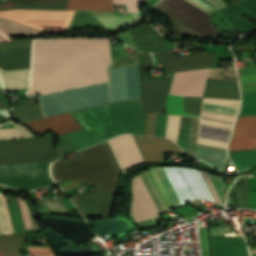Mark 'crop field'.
Returning a JSON list of instances; mask_svg holds the SVG:
<instances>
[{
	"label": "crop field",
	"instance_id": "obj_1",
	"mask_svg": "<svg viewBox=\"0 0 256 256\" xmlns=\"http://www.w3.org/2000/svg\"><path fill=\"white\" fill-rule=\"evenodd\" d=\"M107 39H37L32 89L43 93L107 80Z\"/></svg>",
	"mask_w": 256,
	"mask_h": 256
},
{
	"label": "crop field",
	"instance_id": "obj_2",
	"mask_svg": "<svg viewBox=\"0 0 256 256\" xmlns=\"http://www.w3.org/2000/svg\"><path fill=\"white\" fill-rule=\"evenodd\" d=\"M77 153L79 157L76 159H59L53 163L52 174L54 178L58 183L72 180L85 182L96 187L72 198V201L84 217L111 216L120 170L113 159L107 142H102ZM67 182L71 185L63 187L65 191L81 184L79 182Z\"/></svg>",
	"mask_w": 256,
	"mask_h": 256
},
{
	"label": "crop field",
	"instance_id": "obj_3",
	"mask_svg": "<svg viewBox=\"0 0 256 256\" xmlns=\"http://www.w3.org/2000/svg\"><path fill=\"white\" fill-rule=\"evenodd\" d=\"M83 129L59 135L63 155L120 133L143 135L146 113L135 100L68 113Z\"/></svg>",
	"mask_w": 256,
	"mask_h": 256
},
{
	"label": "crop field",
	"instance_id": "obj_4",
	"mask_svg": "<svg viewBox=\"0 0 256 256\" xmlns=\"http://www.w3.org/2000/svg\"><path fill=\"white\" fill-rule=\"evenodd\" d=\"M111 82L39 96L44 117L141 97L137 65L110 69Z\"/></svg>",
	"mask_w": 256,
	"mask_h": 256
},
{
	"label": "crop field",
	"instance_id": "obj_5",
	"mask_svg": "<svg viewBox=\"0 0 256 256\" xmlns=\"http://www.w3.org/2000/svg\"><path fill=\"white\" fill-rule=\"evenodd\" d=\"M148 169L132 181L131 214L137 223L183 204L165 167Z\"/></svg>",
	"mask_w": 256,
	"mask_h": 256
},
{
	"label": "crop field",
	"instance_id": "obj_6",
	"mask_svg": "<svg viewBox=\"0 0 256 256\" xmlns=\"http://www.w3.org/2000/svg\"><path fill=\"white\" fill-rule=\"evenodd\" d=\"M239 102L203 98L197 143L226 148Z\"/></svg>",
	"mask_w": 256,
	"mask_h": 256
},
{
	"label": "crop field",
	"instance_id": "obj_7",
	"mask_svg": "<svg viewBox=\"0 0 256 256\" xmlns=\"http://www.w3.org/2000/svg\"><path fill=\"white\" fill-rule=\"evenodd\" d=\"M198 122L199 116L168 114L165 138L176 142L187 154L222 171L228 160L226 149L196 144Z\"/></svg>",
	"mask_w": 256,
	"mask_h": 256
},
{
	"label": "crop field",
	"instance_id": "obj_8",
	"mask_svg": "<svg viewBox=\"0 0 256 256\" xmlns=\"http://www.w3.org/2000/svg\"><path fill=\"white\" fill-rule=\"evenodd\" d=\"M166 169L184 204L198 198L224 204L227 189L221 177L187 167L167 166Z\"/></svg>",
	"mask_w": 256,
	"mask_h": 256
},
{
	"label": "crop field",
	"instance_id": "obj_9",
	"mask_svg": "<svg viewBox=\"0 0 256 256\" xmlns=\"http://www.w3.org/2000/svg\"><path fill=\"white\" fill-rule=\"evenodd\" d=\"M152 9L171 19L176 37L219 38L211 16L183 0H160Z\"/></svg>",
	"mask_w": 256,
	"mask_h": 256
},
{
	"label": "crop field",
	"instance_id": "obj_10",
	"mask_svg": "<svg viewBox=\"0 0 256 256\" xmlns=\"http://www.w3.org/2000/svg\"><path fill=\"white\" fill-rule=\"evenodd\" d=\"M54 137L0 142V164L55 161Z\"/></svg>",
	"mask_w": 256,
	"mask_h": 256
},
{
	"label": "crop field",
	"instance_id": "obj_11",
	"mask_svg": "<svg viewBox=\"0 0 256 256\" xmlns=\"http://www.w3.org/2000/svg\"><path fill=\"white\" fill-rule=\"evenodd\" d=\"M51 163L0 165V185L23 191L55 185L50 175Z\"/></svg>",
	"mask_w": 256,
	"mask_h": 256
},
{
	"label": "crop field",
	"instance_id": "obj_12",
	"mask_svg": "<svg viewBox=\"0 0 256 256\" xmlns=\"http://www.w3.org/2000/svg\"><path fill=\"white\" fill-rule=\"evenodd\" d=\"M73 12L58 10H10L0 12V16L45 32H65Z\"/></svg>",
	"mask_w": 256,
	"mask_h": 256
},
{
	"label": "crop field",
	"instance_id": "obj_13",
	"mask_svg": "<svg viewBox=\"0 0 256 256\" xmlns=\"http://www.w3.org/2000/svg\"><path fill=\"white\" fill-rule=\"evenodd\" d=\"M137 61L140 69L141 81L145 80L144 67L151 65V55L147 53H137ZM172 77L149 80L141 82L142 100L146 112L166 111L165 101L168 96Z\"/></svg>",
	"mask_w": 256,
	"mask_h": 256
},
{
	"label": "crop field",
	"instance_id": "obj_14",
	"mask_svg": "<svg viewBox=\"0 0 256 256\" xmlns=\"http://www.w3.org/2000/svg\"><path fill=\"white\" fill-rule=\"evenodd\" d=\"M202 97L239 99L237 81L207 79ZM202 98L185 97L184 112L199 115Z\"/></svg>",
	"mask_w": 256,
	"mask_h": 256
},
{
	"label": "crop field",
	"instance_id": "obj_15",
	"mask_svg": "<svg viewBox=\"0 0 256 256\" xmlns=\"http://www.w3.org/2000/svg\"><path fill=\"white\" fill-rule=\"evenodd\" d=\"M31 41L0 43V67L4 71L29 68Z\"/></svg>",
	"mask_w": 256,
	"mask_h": 256
},
{
	"label": "crop field",
	"instance_id": "obj_16",
	"mask_svg": "<svg viewBox=\"0 0 256 256\" xmlns=\"http://www.w3.org/2000/svg\"><path fill=\"white\" fill-rule=\"evenodd\" d=\"M208 70L175 73L169 94L201 97Z\"/></svg>",
	"mask_w": 256,
	"mask_h": 256
},
{
	"label": "crop field",
	"instance_id": "obj_17",
	"mask_svg": "<svg viewBox=\"0 0 256 256\" xmlns=\"http://www.w3.org/2000/svg\"><path fill=\"white\" fill-rule=\"evenodd\" d=\"M256 149V116L237 117L228 151Z\"/></svg>",
	"mask_w": 256,
	"mask_h": 256
},
{
	"label": "crop field",
	"instance_id": "obj_18",
	"mask_svg": "<svg viewBox=\"0 0 256 256\" xmlns=\"http://www.w3.org/2000/svg\"><path fill=\"white\" fill-rule=\"evenodd\" d=\"M154 55L168 73L209 68L207 53L175 58L172 53L167 50L154 53Z\"/></svg>",
	"mask_w": 256,
	"mask_h": 256
},
{
	"label": "crop field",
	"instance_id": "obj_19",
	"mask_svg": "<svg viewBox=\"0 0 256 256\" xmlns=\"http://www.w3.org/2000/svg\"><path fill=\"white\" fill-rule=\"evenodd\" d=\"M109 144L123 172L136 164L143 163L138 148L131 135H123L109 140Z\"/></svg>",
	"mask_w": 256,
	"mask_h": 256
},
{
	"label": "crop field",
	"instance_id": "obj_20",
	"mask_svg": "<svg viewBox=\"0 0 256 256\" xmlns=\"http://www.w3.org/2000/svg\"><path fill=\"white\" fill-rule=\"evenodd\" d=\"M241 92H256V66L237 68ZM242 106L238 115L256 114V93L241 94Z\"/></svg>",
	"mask_w": 256,
	"mask_h": 256
},
{
	"label": "crop field",
	"instance_id": "obj_21",
	"mask_svg": "<svg viewBox=\"0 0 256 256\" xmlns=\"http://www.w3.org/2000/svg\"><path fill=\"white\" fill-rule=\"evenodd\" d=\"M133 137L138 145L144 162L164 161L163 152L184 153L179 147L165 139L155 137Z\"/></svg>",
	"mask_w": 256,
	"mask_h": 256
},
{
	"label": "crop field",
	"instance_id": "obj_22",
	"mask_svg": "<svg viewBox=\"0 0 256 256\" xmlns=\"http://www.w3.org/2000/svg\"><path fill=\"white\" fill-rule=\"evenodd\" d=\"M24 124L38 134L46 131H53L59 135L81 129V127L67 113L38 119Z\"/></svg>",
	"mask_w": 256,
	"mask_h": 256
},
{
	"label": "crop field",
	"instance_id": "obj_23",
	"mask_svg": "<svg viewBox=\"0 0 256 256\" xmlns=\"http://www.w3.org/2000/svg\"><path fill=\"white\" fill-rule=\"evenodd\" d=\"M130 33L139 51L156 52L167 49L163 37L149 25L130 30Z\"/></svg>",
	"mask_w": 256,
	"mask_h": 256
},
{
	"label": "crop field",
	"instance_id": "obj_24",
	"mask_svg": "<svg viewBox=\"0 0 256 256\" xmlns=\"http://www.w3.org/2000/svg\"><path fill=\"white\" fill-rule=\"evenodd\" d=\"M6 201H7V206H8V210H9V214H10V218H11V222H12V226L15 234L40 231V229L25 230L17 198L6 197ZM19 203H20L26 229L33 228L27 206L21 200H19ZM32 222H33L34 228H37L33 219H32Z\"/></svg>",
	"mask_w": 256,
	"mask_h": 256
},
{
	"label": "crop field",
	"instance_id": "obj_25",
	"mask_svg": "<svg viewBox=\"0 0 256 256\" xmlns=\"http://www.w3.org/2000/svg\"><path fill=\"white\" fill-rule=\"evenodd\" d=\"M236 8L230 10L229 7L221 12L233 22L244 34L256 30L249 22L240 17V14L246 13L248 16L256 15V0H244L234 5Z\"/></svg>",
	"mask_w": 256,
	"mask_h": 256
},
{
	"label": "crop field",
	"instance_id": "obj_26",
	"mask_svg": "<svg viewBox=\"0 0 256 256\" xmlns=\"http://www.w3.org/2000/svg\"><path fill=\"white\" fill-rule=\"evenodd\" d=\"M213 256H247L242 238L212 239Z\"/></svg>",
	"mask_w": 256,
	"mask_h": 256
},
{
	"label": "crop field",
	"instance_id": "obj_27",
	"mask_svg": "<svg viewBox=\"0 0 256 256\" xmlns=\"http://www.w3.org/2000/svg\"><path fill=\"white\" fill-rule=\"evenodd\" d=\"M29 69L4 72L0 69V90L10 91L26 87Z\"/></svg>",
	"mask_w": 256,
	"mask_h": 256
},
{
	"label": "crop field",
	"instance_id": "obj_28",
	"mask_svg": "<svg viewBox=\"0 0 256 256\" xmlns=\"http://www.w3.org/2000/svg\"><path fill=\"white\" fill-rule=\"evenodd\" d=\"M25 239V234L0 235V249L3 256H20V249Z\"/></svg>",
	"mask_w": 256,
	"mask_h": 256
},
{
	"label": "crop field",
	"instance_id": "obj_29",
	"mask_svg": "<svg viewBox=\"0 0 256 256\" xmlns=\"http://www.w3.org/2000/svg\"><path fill=\"white\" fill-rule=\"evenodd\" d=\"M66 9H93L114 12L112 0H70L67 3Z\"/></svg>",
	"mask_w": 256,
	"mask_h": 256
},
{
	"label": "crop field",
	"instance_id": "obj_30",
	"mask_svg": "<svg viewBox=\"0 0 256 256\" xmlns=\"http://www.w3.org/2000/svg\"><path fill=\"white\" fill-rule=\"evenodd\" d=\"M21 9L65 10L67 0H15Z\"/></svg>",
	"mask_w": 256,
	"mask_h": 256
},
{
	"label": "crop field",
	"instance_id": "obj_31",
	"mask_svg": "<svg viewBox=\"0 0 256 256\" xmlns=\"http://www.w3.org/2000/svg\"><path fill=\"white\" fill-rule=\"evenodd\" d=\"M13 114L22 123L43 117L38 104L13 105Z\"/></svg>",
	"mask_w": 256,
	"mask_h": 256
},
{
	"label": "crop field",
	"instance_id": "obj_32",
	"mask_svg": "<svg viewBox=\"0 0 256 256\" xmlns=\"http://www.w3.org/2000/svg\"><path fill=\"white\" fill-rule=\"evenodd\" d=\"M0 31L6 36L25 34V33H38L42 32L37 29L22 25L20 23L1 18L0 17Z\"/></svg>",
	"mask_w": 256,
	"mask_h": 256
},
{
	"label": "crop field",
	"instance_id": "obj_33",
	"mask_svg": "<svg viewBox=\"0 0 256 256\" xmlns=\"http://www.w3.org/2000/svg\"><path fill=\"white\" fill-rule=\"evenodd\" d=\"M69 27H104L90 11H75Z\"/></svg>",
	"mask_w": 256,
	"mask_h": 256
},
{
	"label": "crop field",
	"instance_id": "obj_34",
	"mask_svg": "<svg viewBox=\"0 0 256 256\" xmlns=\"http://www.w3.org/2000/svg\"><path fill=\"white\" fill-rule=\"evenodd\" d=\"M97 18L106 26L108 30L119 27L121 25L140 20L134 14L122 16V15H113V14H103L97 16Z\"/></svg>",
	"mask_w": 256,
	"mask_h": 256
},
{
	"label": "crop field",
	"instance_id": "obj_35",
	"mask_svg": "<svg viewBox=\"0 0 256 256\" xmlns=\"http://www.w3.org/2000/svg\"><path fill=\"white\" fill-rule=\"evenodd\" d=\"M212 16L211 11L227 7L224 0H185Z\"/></svg>",
	"mask_w": 256,
	"mask_h": 256
},
{
	"label": "crop field",
	"instance_id": "obj_36",
	"mask_svg": "<svg viewBox=\"0 0 256 256\" xmlns=\"http://www.w3.org/2000/svg\"><path fill=\"white\" fill-rule=\"evenodd\" d=\"M12 124L15 128L10 129H0V140L4 139H12V138H19V137H32L33 134L27 130L25 127L16 124L12 121Z\"/></svg>",
	"mask_w": 256,
	"mask_h": 256
},
{
	"label": "crop field",
	"instance_id": "obj_37",
	"mask_svg": "<svg viewBox=\"0 0 256 256\" xmlns=\"http://www.w3.org/2000/svg\"><path fill=\"white\" fill-rule=\"evenodd\" d=\"M0 228L2 234H14L3 194H0Z\"/></svg>",
	"mask_w": 256,
	"mask_h": 256
},
{
	"label": "crop field",
	"instance_id": "obj_38",
	"mask_svg": "<svg viewBox=\"0 0 256 256\" xmlns=\"http://www.w3.org/2000/svg\"><path fill=\"white\" fill-rule=\"evenodd\" d=\"M183 99L184 97H181V96L169 95L167 98L168 113L190 115V114L184 113L182 110Z\"/></svg>",
	"mask_w": 256,
	"mask_h": 256
},
{
	"label": "crop field",
	"instance_id": "obj_39",
	"mask_svg": "<svg viewBox=\"0 0 256 256\" xmlns=\"http://www.w3.org/2000/svg\"><path fill=\"white\" fill-rule=\"evenodd\" d=\"M49 212H59L69 214L67 208L59 199H41Z\"/></svg>",
	"mask_w": 256,
	"mask_h": 256
},
{
	"label": "crop field",
	"instance_id": "obj_40",
	"mask_svg": "<svg viewBox=\"0 0 256 256\" xmlns=\"http://www.w3.org/2000/svg\"><path fill=\"white\" fill-rule=\"evenodd\" d=\"M157 113H148L144 135L154 136Z\"/></svg>",
	"mask_w": 256,
	"mask_h": 256
},
{
	"label": "crop field",
	"instance_id": "obj_41",
	"mask_svg": "<svg viewBox=\"0 0 256 256\" xmlns=\"http://www.w3.org/2000/svg\"><path fill=\"white\" fill-rule=\"evenodd\" d=\"M32 256H53L50 248H30L27 247Z\"/></svg>",
	"mask_w": 256,
	"mask_h": 256
},
{
	"label": "crop field",
	"instance_id": "obj_42",
	"mask_svg": "<svg viewBox=\"0 0 256 256\" xmlns=\"http://www.w3.org/2000/svg\"><path fill=\"white\" fill-rule=\"evenodd\" d=\"M117 37H118V39L121 40L126 46L137 49L128 31L125 32V33H122V34L118 35Z\"/></svg>",
	"mask_w": 256,
	"mask_h": 256
},
{
	"label": "crop field",
	"instance_id": "obj_43",
	"mask_svg": "<svg viewBox=\"0 0 256 256\" xmlns=\"http://www.w3.org/2000/svg\"><path fill=\"white\" fill-rule=\"evenodd\" d=\"M8 9H16L15 3L12 0L0 3V11Z\"/></svg>",
	"mask_w": 256,
	"mask_h": 256
},
{
	"label": "crop field",
	"instance_id": "obj_44",
	"mask_svg": "<svg viewBox=\"0 0 256 256\" xmlns=\"http://www.w3.org/2000/svg\"><path fill=\"white\" fill-rule=\"evenodd\" d=\"M0 95H3L2 93H0ZM5 104L4 102L2 101L1 97H0V108H5ZM0 116H9V113H8V108H5V109H0Z\"/></svg>",
	"mask_w": 256,
	"mask_h": 256
},
{
	"label": "crop field",
	"instance_id": "obj_45",
	"mask_svg": "<svg viewBox=\"0 0 256 256\" xmlns=\"http://www.w3.org/2000/svg\"><path fill=\"white\" fill-rule=\"evenodd\" d=\"M239 1H242V0H229V2H230L231 5H232V4H235V3L239 2Z\"/></svg>",
	"mask_w": 256,
	"mask_h": 256
},
{
	"label": "crop field",
	"instance_id": "obj_46",
	"mask_svg": "<svg viewBox=\"0 0 256 256\" xmlns=\"http://www.w3.org/2000/svg\"><path fill=\"white\" fill-rule=\"evenodd\" d=\"M1 40H7V38H5L2 34H0V41Z\"/></svg>",
	"mask_w": 256,
	"mask_h": 256
},
{
	"label": "crop field",
	"instance_id": "obj_47",
	"mask_svg": "<svg viewBox=\"0 0 256 256\" xmlns=\"http://www.w3.org/2000/svg\"><path fill=\"white\" fill-rule=\"evenodd\" d=\"M0 256H2L1 253H0Z\"/></svg>",
	"mask_w": 256,
	"mask_h": 256
},
{
	"label": "crop field",
	"instance_id": "obj_48",
	"mask_svg": "<svg viewBox=\"0 0 256 256\" xmlns=\"http://www.w3.org/2000/svg\"><path fill=\"white\" fill-rule=\"evenodd\" d=\"M1 234V233H0Z\"/></svg>",
	"mask_w": 256,
	"mask_h": 256
},
{
	"label": "crop field",
	"instance_id": "obj_49",
	"mask_svg": "<svg viewBox=\"0 0 256 256\" xmlns=\"http://www.w3.org/2000/svg\"><path fill=\"white\" fill-rule=\"evenodd\" d=\"M143 1V0H142Z\"/></svg>",
	"mask_w": 256,
	"mask_h": 256
}]
</instances>
